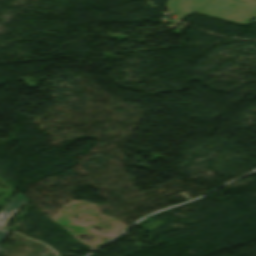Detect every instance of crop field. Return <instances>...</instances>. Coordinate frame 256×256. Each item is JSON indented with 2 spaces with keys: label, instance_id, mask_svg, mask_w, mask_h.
Here are the masks:
<instances>
[{
  "label": "crop field",
  "instance_id": "1",
  "mask_svg": "<svg viewBox=\"0 0 256 256\" xmlns=\"http://www.w3.org/2000/svg\"><path fill=\"white\" fill-rule=\"evenodd\" d=\"M28 200L20 193L14 197L8 205L0 212V226L5 228L8 220L27 202Z\"/></svg>",
  "mask_w": 256,
  "mask_h": 256
},
{
  "label": "crop field",
  "instance_id": "2",
  "mask_svg": "<svg viewBox=\"0 0 256 256\" xmlns=\"http://www.w3.org/2000/svg\"><path fill=\"white\" fill-rule=\"evenodd\" d=\"M9 231L0 229V244L5 239V237L8 235ZM2 248H0L1 251Z\"/></svg>",
  "mask_w": 256,
  "mask_h": 256
}]
</instances>
